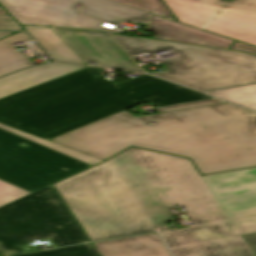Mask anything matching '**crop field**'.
Here are the masks:
<instances>
[{"instance_id": "25", "label": "crop field", "mask_w": 256, "mask_h": 256, "mask_svg": "<svg viewBox=\"0 0 256 256\" xmlns=\"http://www.w3.org/2000/svg\"><path fill=\"white\" fill-rule=\"evenodd\" d=\"M14 32H0V38L12 34Z\"/></svg>"}, {"instance_id": "5", "label": "crop field", "mask_w": 256, "mask_h": 256, "mask_svg": "<svg viewBox=\"0 0 256 256\" xmlns=\"http://www.w3.org/2000/svg\"><path fill=\"white\" fill-rule=\"evenodd\" d=\"M50 238L56 247L88 242L52 185L0 207V242L22 254V246Z\"/></svg>"}, {"instance_id": "3", "label": "crop field", "mask_w": 256, "mask_h": 256, "mask_svg": "<svg viewBox=\"0 0 256 256\" xmlns=\"http://www.w3.org/2000/svg\"><path fill=\"white\" fill-rule=\"evenodd\" d=\"M208 98L212 97L142 75L7 126L49 140L148 100L158 107Z\"/></svg>"}, {"instance_id": "13", "label": "crop field", "mask_w": 256, "mask_h": 256, "mask_svg": "<svg viewBox=\"0 0 256 256\" xmlns=\"http://www.w3.org/2000/svg\"><path fill=\"white\" fill-rule=\"evenodd\" d=\"M102 256H171L157 233L94 243Z\"/></svg>"}, {"instance_id": "20", "label": "crop field", "mask_w": 256, "mask_h": 256, "mask_svg": "<svg viewBox=\"0 0 256 256\" xmlns=\"http://www.w3.org/2000/svg\"><path fill=\"white\" fill-rule=\"evenodd\" d=\"M215 103H223V101H220L218 99H213V100H207V101H201V102H195V103H189V104H183V105L159 108L157 110H158V112H162V111H168V110H174V109H180V108H186V107L215 104Z\"/></svg>"}, {"instance_id": "4", "label": "crop field", "mask_w": 256, "mask_h": 256, "mask_svg": "<svg viewBox=\"0 0 256 256\" xmlns=\"http://www.w3.org/2000/svg\"><path fill=\"white\" fill-rule=\"evenodd\" d=\"M132 56L167 49L179 57L165 60L169 73L153 74L196 90L256 82V56L180 43L115 35Z\"/></svg>"}, {"instance_id": "24", "label": "crop field", "mask_w": 256, "mask_h": 256, "mask_svg": "<svg viewBox=\"0 0 256 256\" xmlns=\"http://www.w3.org/2000/svg\"><path fill=\"white\" fill-rule=\"evenodd\" d=\"M0 251H2L6 256L21 254V253H19V252L16 251V250L9 251V250H8L5 246H3L1 243H0Z\"/></svg>"}, {"instance_id": "6", "label": "crop field", "mask_w": 256, "mask_h": 256, "mask_svg": "<svg viewBox=\"0 0 256 256\" xmlns=\"http://www.w3.org/2000/svg\"><path fill=\"white\" fill-rule=\"evenodd\" d=\"M0 4L20 23L27 25L97 29L114 32L103 23L81 14L119 25L122 21L148 22V13L107 0H0Z\"/></svg>"}, {"instance_id": "1", "label": "crop field", "mask_w": 256, "mask_h": 256, "mask_svg": "<svg viewBox=\"0 0 256 256\" xmlns=\"http://www.w3.org/2000/svg\"><path fill=\"white\" fill-rule=\"evenodd\" d=\"M91 241L155 231L184 207L195 227L159 229L175 256H255L256 168L201 177L189 159L130 148L54 184Z\"/></svg>"}, {"instance_id": "11", "label": "crop field", "mask_w": 256, "mask_h": 256, "mask_svg": "<svg viewBox=\"0 0 256 256\" xmlns=\"http://www.w3.org/2000/svg\"><path fill=\"white\" fill-rule=\"evenodd\" d=\"M84 68L83 66H74L62 63H51L35 68L23 70L3 78H0V98L8 96L10 94L28 89L30 87L42 84L44 82L61 77L68 73ZM0 128L10 131L14 134L22 136L26 139L34 141L38 144L46 146L64 155L72 157L90 166H93L103 160L70 150L52 142L40 139L38 137L26 134L24 132L12 129L10 127L0 124Z\"/></svg>"}, {"instance_id": "22", "label": "crop field", "mask_w": 256, "mask_h": 256, "mask_svg": "<svg viewBox=\"0 0 256 256\" xmlns=\"http://www.w3.org/2000/svg\"><path fill=\"white\" fill-rule=\"evenodd\" d=\"M232 49L237 50V51H246V52H249L252 54H256V47L238 43V42L235 43V45L232 47Z\"/></svg>"}, {"instance_id": "8", "label": "crop field", "mask_w": 256, "mask_h": 256, "mask_svg": "<svg viewBox=\"0 0 256 256\" xmlns=\"http://www.w3.org/2000/svg\"><path fill=\"white\" fill-rule=\"evenodd\" d=\"M87 67L69 75L0 99V123L9 124L48 108L114 85Z\"/></svg>"}, {"instance_id": "17", "label": "crop field", "mask_w": 256, "mask_h": 256, "mask_svg": "<svg viewBox=\"0 0 256 256\" xmlns=\"http://www.w3.org/2000/svg\"><path fill=\"white\" fill-rule=\"evenodd\" d=\"M18 256H101L98 254L92 243L65 247L59 249L46 250L31 254H23Z\"/></svg>"}, {"instance_id": "26", "label": "crop field", "mask_w": 256, "mask_h": 256, "mask_svg": "<svg viewBox=\"0 0 256 256\" xmlns=\"http://www.w3.org/2000/svg\"><path fill=\"white\" fill-rule=\"evenodd\" d=\"M0 14H8V13L0 6Z\"/></svg>"}, {"instance_id": "12", "label": "crop field", "mask_w": 256, "mask_h": 256, "mask_svg": "<svg viewBox=\"0 0 256 256\" xmlns=\"http://www.w3.org/2000/svg\"><path fill=\"white\" fill-rule=\"evenodd\" d=\"M154 38L229 49L234 40L150 16Z\"/></svg>"}, {"instance_id": "23", "label": "crop field", "mask_w": 256, "mask_h": 256, "mask_svg": "<svg viewBox=\"0 0 256 256\" xmlns=\"http://www.w3.org/2000/svg\"><path fill=\"white\" fill-rule=\"evenodd\" d=\"M245 238L247 239V241L249 242V244L251 245V247L253 248V250L256 253V234L247 235V236H245Z\"/></svg>"}, {"instance_id": "16", "label": "crop field", "mask_w": 256, "mask_h": 256, "mask_svg": "<svg viewBox=\"0 0 256 256\" xmlns=\"http://www.w3.org/2000/svg\"><path fill=\"white\" fill-rule=\"evenodd\" d=\"M206 93L256 110V84L209 91Z\"/></svg>"}, {"instance_id": "2", "label": "crop field", "mask_w": 256, "mask_h": 256, "mask_svg": "<svg viewBox=\"0 0 256 256\" xmlns=\"http://www.w3.org/2000/svg\"><path fill=\"white\" fill-rule=\"evenodd\" d=\"M49 141L103 160L129 146L185 156L206 175L256 166V113L228 103L138 117L124 110Z\"/></svg>"}, {"instance_id": "19", "label": "crop field", "mask_w": 256, "mask_h": 256, "mask_svg": "<svg viewBox=\"0 0 256 256\" xmlns=\"http://www.w3.org/2000/svg\"><path fill=\"white\" fill-rule=\"evenodd\" d=\"M30 192L19 189L0 180V206L16 200Z\"/></svg>"}, {"instance_id": "15", "label": "crop field", "mask_w": 256, "mask_h": 256, "mask_svg": "<svg viewBox=\"0 0 256 256\" xmlns=\"http://www.w3.org/2000/svg\"><path fill=\"white\" fill-rule=\"evenodd\" d=\"M30 40L29 36L23 32L0 40V76L33 66V64L22 53L16 51V48L11 44Z\"/></svg>"}, {"instance_id": "18", "label": "crop field", "mask_w": 256, "mask_h": 256, "mask_svg": "<svg viewBox=\"0 0 256 256\" xmlns=\"http://www.w3.org/2000/svg\"><path fill=\"white\" fill-rule=\"evenodd\" d=\"M124 5H128L142 11L158 14L164 17L171 16L167 8L160 0H111Z\"/></svg>"}, {"instance_id": "14", "label": "crop field", "mask_w": 256, "mask_h": 256, "mask_svg": "<svg viewBox=\"0 0 256 256\" xmlns=\"http://www.w3.org/2000/svg\"><path fill=\"white\" fill-rule=\"evenodd\" d=\"M57 61L82 63L50 27L23 26Z\"/></svg>"}, {"instance_id": "10", "label": "crop field", "mask_w": 256, "mask_h": 256, "mask_svg": "<svg viewBox=\"0 0 256 256\" xmlns=\"http://www.w3.org/2000/svg\"><path fill=\"white\" fill-rule=\"evenodd\" d=\"M59 37L84 61L96 66L143 72L109 36L112 33L51 27Z\"/></svg>"}, {"instance_id": "21", "label": "crop field", "mask_w": 256, "mask_h": 256, "mask_svg": "<svg viewBox=\"0 0 256 256\" xmlns=\"http://www.w3.org/2000/svg\"><path fill=\"white\" fill-rule=\"evenodd\" d=\"M0 29H22V27L10 15H0Z\"/></svg>"}, {"instance_id": "9", "label": "crop field", "mask_w": 256, "mask_h": 256, "mask_svg": "<svg viewBox=\"0 0 256 256\" xmlns=\"http://www.w3.org/2000/svg\"><path fill=\"white\" fill-rule=\"evenodd\" d=\"M180 22L256 46V0H164Z\"/></svg>"}, {"instance_id": "7", "label": "crop field", "mask_w": 256, "mask_h": 256, "mask_svg": "<svg viewBox=\"0 0 256 256\" xmlns=\"http://www.w3.org/2000/svg\"><path fill=\"white\" fill-rule=\"evenodd\" d=\"M89 167L0 129V179L19 188L33 192Z\"/></svg>"}]
</instances>
